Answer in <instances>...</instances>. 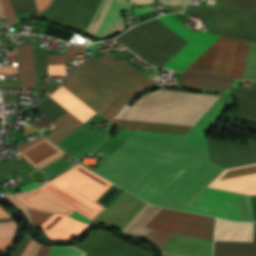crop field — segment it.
<instances>
[{"mask_svg":"<svg viewBox=\"0 0 256 256\" xmlns=\"http://www.w3.org/2000/svg\"><path fill=\"white\" fill-rule=\"evenodd\" d=\"M74 246L94 256H156L153 252L135 247L102 230L90 233L82 242Z\"/></svg>","mask_w":256,"mask_h":256,"instance_id":"28ad6ade","label":"crop field"},{"mask_svg":"<svg viewBox=\"0 0 256 256\" xmlns=\"http://www.w3.org/2000/svg\"><path fill=\"white\" fill-rule=\"evenodd\" d=\"M188 13L212 19L211 33L256 42V0H219L217 11L191 6Z\"/></svg>","mask_w":256,"mask_h":256,"instance_id":"e52e79f7","label":"crop field"},{"mask_svg":"<svg viewBox=\"0 0 256 256\" xmlns=\"http://www.w3.org/2000/svg\"><path fill=\"white\" fill-rule=\"evenodd\" d=\"M49 97L82 122L96 113L62 86Z\"/></svg>","mask_w":256,"mask_h":256,"instance_id":"92a150f3","label":"crop field"},{"mask_svg":"<svg viewBox=\"0 0 256 256\" xmlns=\"http://www.w3.org/2000/svg\"><path fill=\"white\" fill-rule=\"evenodd\" d=\"M153 3V0H131L130 5Z\"/></svg>","mask_w":256,"mask_h":256,"instance_id":"7b73153f","label":"crop field"},{"mask_svg":"<svg viewBox=\"0 0 256 256\" xmlns=\"http://www.w3.org/2000/svg\"><path fill=\"white\" fill-rule=\"evenodd\" d=\"M5 101H17L18 94H2Z\"/></svg>","mask_w":256,"mask_h":256,"instance_id":"0765c3eb","label":"crop field"},{"mask_svg":"<svg viewBox=\"0 0 256 256\" xmlns=\"http://www.w3.org/2000/svg\"><path fill=\"white\" fill-rule=\"evenodd\" d=\"M38 7H39V11L44 10L50 3V0H36Z\"/></svg>","mask_w":256,"mask_h":256,"instance_id":"9d1cf04e","label":"crop field"},{"mask_svg":"<svg viewBox=\"0 0 256 256\" xmlns=\"http://www.w3.org/2000/svg\"><path fill=\"white\" fill-rule=\"evenodd\" d=\"M121 190L112 184L96 202L106 206Z\"/></svg>","mask_w":256,"mask_h":256,"instance_id":"b80d0937","label":"crop field"},{"mask_svg":"<svg viewBox=\"0 0 256 256\" xmlns=\"http://www.w3.org/2000/svg\"><path fill=\"white\" fill-rule=\"evenodd\" d=\"M14 197L24 206L45 212L70 215L75 211L39 188Z\"/></svg>","mask_w":256,"mask_h":256,"instance_id":"4a817a6b","label":"crop field"},{"mask_svg":"<svg viewBox=\"0 0 256 256\" xmlns=\"http://www.w3.org/2000/svg\"><path fill=\"white\" fill-rule=\"evenodd\" d=\"M30 238L28 237V239L26 240V242L24 243V245L22 246V248L20 249V251L18 252V254L16 256H21V254L23 253V251L25 250L26 246L28 245V243L30 242Z\"/></svg>","mask_w":256,"mask_h":256,"instance_id":"e1d0b9f6","label":"crop field"},{"mask_svg":"<svg viewBox=\"0 0 256 256\" xmlns=\"http://www.w3.org/2000/svg\"><path fill=\"white\" fill-rule=\"evenodd\" d=\"M50 123H52V122L50 120H48L46 117L43 116L36 123H34L32 126H34L36 129H38L40 131L41 129H43L44 127L49 125Z\"/></svg>","mask_w":256,"mask_h":256,"instance_id":"25e5ab78","label":"crop field"},{"mask_svg":"<svg viewBox=\"0 0 256 256\" xmlns=\"http://www.w3.org/2000/svg\"><path fill=\"white\" fill-rule=\"evenodd\" d=\"M252 242H256V232H253Z\"/></svg>","mask_w":256,"mask_h":256,"instance_id":"ade564c9","label":"crop field"},{"mask_svg":"<svg viewBox=\"0 0 256 256\" xmlns=\"http://www.w3.org/2000/svg\"><path fill=\"white\" fill-rule=\"evenodd\" d=\"M34 241L31 240V242L29 243L28 247L26 248V250L24 251L22 256H26L27 252L29 251L30 247L32 246Z\"/></svg>","mask_w":256,"mask_h":256,"instance_id":"d14b1444","label":"crop field"},{"mask_svg":"<svg viewBox=\"0 0 256 256\" xmlns=\"http://www.w3.org/2000/svg\"><path fill=\"white\" fill-rule=\"evenodd\" d=\"M208 186L236 193L256 195V164L227 169Z\"/></svg>","mask_w":256,"mask_h":256,"instance_id":"d9b57169","label":"crop field"},{"mask_svg":"<svg viewBox=\"0 0 256 256\" xmlns=\"http://www.w3.org/2000/svg\"><path fill=\"white\" fill-rule=\"evenodd\" d=\"M17 19H24L39 14L35 0H11Z\"/></svg>","mask_w":256,"mask_h":256,"instance_id":"750c4746","label":"crop field"},{"mask_svg":"<svg viewBox=\"0 0 256 256\" xmlns=\"http://www.w3.org/2000/svg\"><path fill=\"white\" fill-rule=\"evenodd\" d=\"M116 41L149 64L162 67L188 43L156 19L130 29Z\"/></svg>","mask_w":256,"mask_h":256,"instance_id":"dd49c442","label":"crop field"},{"mask_svg":"<svg viewBox=\"0 0 256 256\" xmlns=\"http://www.w3.org/2000/svg\"><path fill=\"white\" fill-rule=\"evenodd\" d=\"M92 62L134 94L155 85L122 59L117 61L108 56ZM94 64L88 62L76 67L66 81L116 115L134 94ZM66 81L62 86L97 113L110 120L115 116Z\"/></svg>","mask_w":256,"mask_h":256,"instance_id":"34b2d1b8","label":"crop field"},{"mask_svg":"<svg viewBox=\"0 0 256 256\" xmlns=\"http://www.w3.org/2000/svg\"><path fill=\"white\" fill-rule=\"evenodd\" d=\"M1 2H2L4 11H5L7 20H8V23L10 24V23L16 21L17 19L15 17V14H14V11L12 9L10 1L9 0H1Z\"/></svg>","mask_w":256,"mask_h":256,"instance_id":"03da06ac","label":"crop field"},{"mask_svg":"<svg viewBox=\"0 0 256 256\" xmlns=\"http://www.w3.org/2000/svg\"><path fill=\"white\" fill-rule=\"evenodd\" d=\"M134 197L135 196L124 191L107 209L105 208L90 223H103L106 225Z\"/></svg>","mask_w":256,"mask_h":256,"instance_id":"ae1a2a85","label":"crop field"},{"mask_svg":"<svg viewBox=\"0 0 256 256\" xmlns=\"http://www.w3.org/2000/svg\"><path fill=\"white\" fill-rule=\"evenodd\" d=\"M235 80L184 136L136 131L94 172L139 198L181 210L224 169L209 163L205 133L233 104Z\"/></svg>","mask_w":256,"mask_h":256,"instance_id":"8a807250","label":"crop field"},{"mask_svg":"<svg viewBox=\"0 0 256 256\" xmlns=\"http://www.w3.org/2000/svg\"><path fill=\"white\" fill-rule=\"evenodd\" d=\"M1 17V16H0Z\"/></svg>","mask_w":256,"mask_h":256,"instance_id":"180be81f","label":"crop field"},{"mask_svg":"<svg viewBox=\"0 0 256 256\" xmlns=\"http://www.w3.org/2000/svg\"><path fill=\"white\" fill-rule=\"evenodd\" d=\"M162 23L189 43L164 67L182 71L219 36L188 31L169 15L158 17ZM250 42L220 36L183 71H207L242 79ZM243 79L256 80V43L250 44Z\"/></svg>","mask_w":256,"mask_h":256,"instance_id":"ac0d7876","label":"crop field"},{"mask_svg":"<svg viewBox=\"0 0 256 256\" xmlns=\"http://www.w3.org/2000/svg\"><path fill=\"white\" fill-rule=\"evenodd\" d=\"M213 241L175 234L160 250L182 256H211Z\"/></svg>","mask_w":256,"mask_h":256,"instance_id":"733c2abd","label":"crop field"},{"mask_svg":"<svg viewBox=\"0 0 256 256\" xmlns=\"http://www.w3.org/2000/svg\"><path fill=\"white\" fill-rule=\"evenodd\" d=\"M37 86V99L40 101V88L45 89H56L59 84L58 83H46V84H36Z\"/></svg>","mask_w":256,"mask_h":256,"instance_id":"d23c7cc5","label":"crop field"},{"mask_svg":"<svg viewBox=\"0 0 256 256\" xmlns=\"http://www.w3.org/2000/svg\"><path fill=\"white\" fill-rule=\"evenodd\" d=\"M49 75H65V65L48 66Z\"/></svg>","mask_w":256,"mask_h":256,"instance_id":"b54c1fbb","label":"crop field"},{"mask_svg":"<svg viewBox=\"0 0 256 256\" xmlns=\"http://www.w3.org/2000/svg\"><path fill=\"white\" fill-rule=\"evenodd\" d=\"M129 0H102L86 35L101 39L113 36L124 28L123 10H127Z\"/></svg>","mask_w":256,"mask_h":256,"instance_id":"d1516ede","label":"crop field"},{"mask_svg":"<svg viewBox=\"0 0 256 256\" xmlns=\"http://www.w3.org/2000/svg\"><path fill=\"white\" fill-rule=\"evenodd\" d=\"M33 168L25 159L15 162L12 158L0 162V177Z\"/></svg>","mask_w":256,"mask_h":256,"instance_id":"1d83c4d3","label":"crop field"},{"mask_svg":"<svg viewBox=\"0 0 256 256\" xmlns=\"http://www.w3.org/2000/svg\"><path fill=\"white\" fill-rule=\"evenodd\" d=\"M34 108H36L53 122L67 112L49 97Z\"/></svg>","mask_w":256,"mask_h":256,"instance_id":"bd1437ed","label":"crop field"},{"mask_svg":"<svg viewBox=\"0 0 256 256\" xmlns=\"http://www.w3.org/2000/svg\"><path fill=\"white\" fill-rule=\"evenodd\" d=\"M5 198L8 199L21 212V214L28 219L27 212L21 208L10 196L6 195Z\"/></svg>","mask_w":256,"mask_h":256,"instance_id":"89e229c0","label":"crop field"},{"mask_svg":"<svg viewBox=\"0 0 256 256\" xmlns=\"http://www.w3.org/2000/svg\"><path fill=\"white\" fill-rule=\"evenodd\" d=\"M35 70L36 76L48 75L46 52H35Z\"/></svg>","mask_w":256,"mask_h":256,"instance_id":"0bd39190","label":"crop field"},{"mask_svg":"<svg viewBox=\"0 0 256 256\" xmlns=\"http://www.w3.org/2000/svg\"><path fill=\"white\" fill-rule=\"evenodd\" d=\"M111 123L117 125L118 128H121V129L151 131V132L179 134V135H184L187 132V130L190 128L185 126L151 124V123H143V122L118 120V119H114L113 121H111Z\"/></svg>","mask_w":256,"mask_h":256,"instance_id":"4177f3b9","label":"crop field"},{"mask_svg":"<svg viewBox=\"0 0 256 256\" xmlns=\"http://www.w3.org/2000/svg\"><path fill=\"white\" fill-rule=\"evenodd\" d=\"M27 210L29 211V215H30V218H31V223L30 224L34 228L38 227V229L42 231L43 235H45L47 237V239L52 240V241H68V240H71V239L81 235L82 233H84L85 230L89 226H91V225L87 226L88 224L75 221V220H73L69 217L63 216V215H58V214H53L52 215V214H47V213H43V212H38V211H35V210H31V209H27ZM46 219H48V220L45 221ZM40 225H41L42 229L45 231V233L49 237L54 238V239L70 238V237L76 235L77 233H79L86 226L87 227L84 230H82L79 234H77L76 236H74L70 239H67V240H53V239H50L44 233V231L39 227Z\"/></svg>","mask_w":256,"mask_h":256,"instance_id":"cbeb9de0","label":"crop field"},{"mask_svg":"<svg viewBox=\"0 0 256 256\" xmlns=\"http://www.w3.org/2000/svg\"><path fill=\"white\" fill-rule=\"evenodd\" d=\"M19 154L39 169L65 153L45 138Z\"/></svg>","mask_w":256,"mask_h":256,"instance_id":"bc2a9ffb","label":"crop field"},{"mask_svg":"<svg viewBox=\"0 0 256 256\" xmlns=\"http://www.w3.org/2000/svg\"><path fill=\"white\" fill-rule=\"evenodd\" d=\"M218 97L216 95L158 90L144 95L137 102L207 110ZM140 103H135L133 107L124 106L115 118L192 126L205 112Z\"/></svg>","mask_w":256,"mask_h":256,"instance_id":"412701ff","label":"crop field"},{"mask_svg":"<svg viewBox=\"0 0 256 256\" xmlns=\"http://www.w3.org/2000/svg\"><path fill=\"white\" fill-rule=\"evenodd\" d=\"M17 47L19 87H34V59L31 44Z\"/></svg>","mask_w":256,"mask_h":256,"instance_id":"00972430","label":"crop field"},{"mask_svg":"<svg viewBox=\"0 0 256 256\" xmlns=\"http://www.w3.org/2000/svg\"><path fill=\"white\" fill-rule=\"evenodd\" d=\"M40 247H41V244H38V243L34 242V244L31 247L29 253L27 254V256H36V254L38 253Z\"/></svg>","mask_w":256,"mask_h":256,"instance_id":"1d79db26","label":"crop field"},{"mask_svg":"<svg viewBox=\"0 0 256 256\" xmlns=\"http://www.w3.org/2000/svg\"><path fill=\"white\" fill-rule=\"evenodd\" d=\"M9 220H12V218H8V219H0V222H1V221H9Z\"/></svg>","mask_w":256,"mask_h":256,"instance_id":"c5b07064","label":"crop field"},{"mask_svg":"<svg viewBox=\"0 0 256 256\" xmlns=\"http://www.w3.org/2000/svg\"><path fill=\"white\" fill-rule=\"evenodd\" d=\"M162 256H171V255L162 254Z\"/></svg>","mask_w":256,"mask_h":256,"instance_id":"fb207236","label":"crop field"},{"mask_svg":"<svg viewBox=\"0 0 256 256\" xmlns=\"http://www.w3.org/2000/svg\"><path fill=\"white\" fill-rule=\"evenodd\" d=\"M233 81L209 73H182L178 84L224 92Z\"/></svg>","mask_w":256,"mask_h":256,"instance_id":"214f88e0","label":"crop field"},{"mask_svg":"<svg viewBox=\"0 0 256 256\" xmlns=\"http://www.w3.org/2000/svg\"><path fill=\"white\" fill-rule=\"evenodd\" d=\"M57 178L95 201L112 184L80 165ZM57 178L40 188L90 219H93L104 209L95 201Z\"/></svg>","mask_w":256,"mask_h":256,"instance_id":"f4fd0767","label":"crop field"},{"mask_svg":"<svg viewBox=\"0 0 256 256\" xmlns=\"http://www.w3.org/2000/svg\"><path fill=\"white\" fill-rule=\"evenodd\" d=\"M0 73H17V65L10 67H0Z\"/></svg>","mask_w":256,"mask_h":256,"instance_id":"0fb4a251","label":"crop field"},{"mask_svg":"<svg viewBox=\"0 0 256 256\" xmlns=\"http://www.w3.org/2000/svg\"><path fill=\"white\" fill-rule=\"evenodd\" d=\"M43 34L58 37V38H61L65 41L69 42L71 37L74 35V32L63 29L61 27L46 24L45 28H44V31H43Z\"/></svg>","mask_w":256,"mask_h":256,"instance_id":"5866460e","label":"crop field"},{"mask_svg":"<svg viewBox=\"0 0 256 256\" xmlns=\"http://www.w3.org/2000/svg\"><path fill=\"white\" fill-rule=\"evenodd\" d=\"M81 124L79 120L67 112L52 124L57 128L46 137L57 144Z\"/></svg>","mask_w":256,"mask_h":256,"instance_id":"eef30255","label":"crop field"},{"mask_svg":"<svg viewBox=\"0 0 256 256\" xmlns=\"http://www.w3.org/2000/svg\"><path fill=\"white\" fill-rule=\"evenodd\" d=\"M16 238H17V236L10 237V238H1L0 239V251L9 248L13 244V242Z\"/></svg>","mask_w":256,"mask_h":256,"instance_id":"5d738f31","label":"crop field"},{"mask_svg":"<svg viewBox=\"0 0 256 256\" xmlns=\"http://www.w3.org/2000/svg\"><path fill=\"white\" fill-rule=\"evenodd\" d=\"M97 113L57 145L75 159L97 148L103 141L107 128L91 131L86 127L99 117Z\"/></svg>","mask_w":256,"mask_h":256,"instance_id":"5142ce71","label":"crop field"},{"mask_svg":"<svg viewBox=\"0 0 256 256\" xmlns=\"http://www.w3.org/2000/svg\"><path fill=\"white\" fill-rule=\"evenodd\" d=\"M73 218H76L78 220L84 221L86 223H88L90 220L86 217H84L83 215L79 214L78 212H74L73 214L70 215Z\"/></svg>","mask_w":256,"mask_h":256,"instance_id":"447ae74e","label":"crop field"},{"mask_svg":"<svg viewBox=\"0 0 256 256\" xmlns=\"http://www.w3.org/2000/svg\"><path fill=\"white\" fill-rule=\"evenodd\" d=\"M184 210L242 221L238 194L210 187Z\"/></svg>","mask_w":256,"mask_h":256,"instance_id":"3316defc","label":"crop field"},{"mask_svg":"<svg viewBox=\"0 0 256 256\" xmlns=\"http://www.w3.org/2000/svg\"><path fill=\"white\" fill-rule=\"evenodd\" d=\"M213 256H256V252L214 250Z\"/></svg>","mask_w":256,"mask_h":256,"instance_id":"c21b1889","label":"crop field"},{"mask_svg":"<svg viewBox=\"0 0 256 256\" xmlns=\"http://www.w3.org/2000/svg\"><path fill=\"white\" fill-rule=\"evenodd\" d=\"M215 218L162 208L145 226L211 239Z\"/></svg>","mask_w":256,"mask_h":256,"instance_id":"d8731c3e","label":"crop field"},{"mask_svg":"<svg viewBox=\"0 0 256 256\" xmlns=\"http://www.w3.org/2000/svg\"><path fill=\"white\" fill-rule=\"evenodd\" d=\"M133 11H134L135 15H138V14H143V13L154 12L156 10H155L154 6H151V7H146V8L135 9Z\"/></svg>","mask_w":256,"mask_h":256,"instance_id":"1f2cbd36","label":"crop field"},{"mask_svg":"<svg viewBox=\"0 0 256 256\" xmlns=\"http://www.w3.org/2000/svg\"><path fill=\"white\" fill-rule=\"evenodd\" d=\"M252 208L254 213V219L256 221V196H251Z\"/></svg>","mask_w":256,"mask_h":256,"instance_id":"0f1d7ab4","label":"crop field"},{"mask_svg":"<svg viewBox=\"0 0 256 256\" xmlns=\"http://www.w3.org/2000/svg\"><path fill=\"white\" fill-rule=\"evenodd\" d=\"M0 13H1L2 18H6L5 14H4V11H3V8H2V5H1V2H0Z\"/></svg>","mask_w":256,"mask_h":256,"instance_id":"c39391a2","label":"crop field"},{"mask_svg":"<svg viewBox=\"0 0 256 256\" xmlns=\"http://www.w3.org/2000/svg\"><path fill=\"white\" fill-rule=\"evenodd\" d=\"M48 256H86V253L74 247H52Z\"/></svg>","mask_w":256,"mask_h":256,"instance_id":"e1f06a70","label":"crop field"},{"mask_svg":"<svg viewBox=\"0 0 256 256\" xmlns=\"http://www.w3.org/2000/svg\"><path fill=\"white\" fill-rule=\"evenodd\" d=\"M253 231H256V223H253Z\"/></svg>","mask_w":256,"mask_h":256,"instance_id":"c3a83c6f","label":"crop field"},{"mask_svg":"<svg viewBox=\"0 0 256 256\" xmlns=\"http://www.w3.org/2000/svg\"><path fill=\"white\" fill-rule=\"evenodd\" d=\"M174 234L153 229L146 237L161 248Z\"/></svg>","mask_w":256,"mask_h":256,"instance_id":"028f5c9d","label":"crop field"},{"mask_svg":"<svg viewBox=\"0 0 256 256\" xmlns=\"http://www.w3.org/2000/svg\"><path fill=\"white\" fill-rule=\"evenodd\" d=\"M0 88H18V80H0Z\"/></svg>","mask_w":256,"mask_h":256,"instance_id":"425ffa30","label":"crop field"},{"mask_svg":"<svg viewBox=\"0 0 256 256\" xmlns=\"http://www.w3.org/2000/svg\"><path fill=\"white\" fill-rule=\"evenodd\" d=\"M160 207L147 205L123 232L136 235L139 230L160 210Z\"/></svg>","mask_w":256,"mask_h":256,"instance_id":"d3111659","label":"crop field"},{"mask_svg":"<svg viewBox=\"0 0 256 256\" xmlns=\"http://www.w3.org/2000/svg\"><path fill=\"white\" fill-rule=\"evenodd\" d=\"M161 4L184 5L185 0H159Z\"/></svg>","mask_w":256,"mask_h":256,"instance_id":"dbb93151","label":"crop field"},{"mask_svg":"<svg viewBox=\"0 0 256 256\" xmlns=\"http://www.w3.org/2000/svg\"><path fill=\"white\" fill-rule=\"evenodd\" d=\"M18 228L15 221L0 223V237L17 235Z\"/></svg>","mask_w":256,"mask_h":256,"instance_id":"c035e120","label":"crop field"},{"mask_svg":"<svg viewBox=\"0 0 256 256\" xmlns=\"http://www.w3.org/2000/svg\"><path fill=\"white\" fill-rule=\"evenodd\" d=\"M51 247H46V246H43L41 247L39 253L37 254V256H47L49 250H50Z\"/></svg>","mask_w":256,"mask_h":256,"instance_id":"db79e9e6","label":"crop field"},{"mask_svg":"<svg viewBox=\"0 0 256 256\" xmlns=\"http://www.w3.org/2000/svg\"><path fill=\"white\" fill-rule=\"evenodd\" d=\"M85 46L69 47L66 55L47 56L48 65L66 64V59H76L75 54L82 53Z\"/></svg>","mask_w":256,"mask_h":256,"instance_id":"120bbe31","label":"crop field"},{"mask_svg":"<svg viewBox=\"0 0 256 256\" xmlns=\"http://www.w3.org/2000/svg\"><path fill=\"white\" fill-rule=\"evenodd\" d=\"M233 93L238 104L239 120L256 122V83L251 89L237 87Z\"/></svg>","mask_w":256,"mask_h":256,"instance_id":"a9b5d70f","label":"crop field"},{"mask_svg":"<svg viewBox=\"0 0 256 256\" xmlns=\"http://www.w3.org/2000/svg\"><path fill=\"white\" fill-rule=\"evenodd\" d=\"M43 138H45V137L40 136V137L36 138L35 140H33V141L27 143V144H26V143L23 144L22 146L18 147V148L15 149V150L19 153V152L23 151L24 149L28 148L29 146H31V145L35 144L36 142L40 141V140L43 139Z\"/></svg>","mask_w":256,"mask_h":256,"instance_id":"73cf0c24","label":"crop field"},{"mask_svg":"<svg viewBox=\"0 0 256 256\" xmlns=\"http://www.w3.org/2000/svg\"><path fill=\"white\" fill-rule=\"evenodd\" d=\"M214 249L256 250V243L215 241Z\"/></svg>","mask_w":256,"mask_h":256,"instance_id":"d32e631a","label":"crop field"},{"mask_svg":"<svg viewBox=\"0 0 256 256\" xmlns=\"http://www.w3.org/2000/svg\"><path fill=\"white\" fill-rule=\"evenodd\" d=\"M39 185H40V184H38V183H36V182H33V183L28 184V185H26V186H24V187H21V188H19V189H21V190L24 192V191H26V190L35 188V187H37V186H39Z\"/></svg>","mask_w":256,"mask_h":256,"instance_id":"78b8030e","label":"crop field"},{"mask_svg":"<svg viewBox=\"0 0 256 256\" xmlns=\"http://www.w3.org/2000/svg\"><path fill=\"white\" fill-rule=\"evenodd\" d=\"M210 162L224 169L256 163V143L208 139Z\"/></svg>","mask_w":256,"mask_h":256,"instance_id":"22f410ed","label":"crop field"},{"mask_svg":"<svg viewBox=\"0 0 256 256\" xmlns=\"http://www.w3.org/2000/svg\"><path fill=\"white\" fill-rule=\"evenodd\" d=\"M252 223L217 219L215 240L251 241Z\"/></svg>","mask_w":256,"mask_h":256,"instance_id":"dafd665d","label":"crop field"},{"mask_svg":"<svg viewBox=\"0 0 256 256\" xmlns=\"http://www.w3.org/2000/svg\"><path fill=\"white\" fill-rule=\"evenodd\" d=\"M146 205L147 203L135 197L107 226L122 231Z\"/></svg>","mask_w":256,"mask_h":256,"instance_id":"730fd06b","label":"crop field"},{"mask_svg":"<svg viewBox=\"0 0 256 256\" xmlns=\"http://www.w3.org/2000/svg\"><path fill=\"white\" fill-rule=\"evenodd\" d=\"M101 0H54L35 18L58 23L85 32Z\"/></svg>","mask_w":256,"mask_h":256,"instance_id":"5a996713","label":"crop field"},{"mask_svg":"<svg viewBox=\"0 0 256 256\" xmlns=\"http://www.w3.org/2000/svg\"><path fill=\"white\" fill-rule=\"evenodd\" d=\"M87 256H90V255H87Z\"/></svg>","mask_w":256,"mask_h":256,"instance_id":"7312dd0a","label":"crop field"},{"mask_svg":"<svg viewBox=\"0 0 256 256\" xmlns=\"http://www.w3.org/2000/svg\"><path fill=\"white\" fill-rule=\"evenodd\" d=\"M8 217H10V215L0 208V218H8Z\"/></svg>","mask_w":256,"mask_h":256,"instance_id":"ae633e8c","label":"crop field"}]
</instances>
